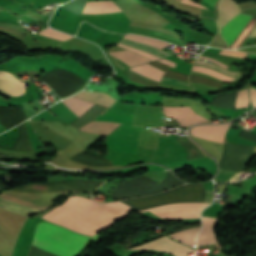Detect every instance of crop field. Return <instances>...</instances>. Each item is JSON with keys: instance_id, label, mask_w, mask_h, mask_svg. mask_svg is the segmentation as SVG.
<instances>
[{"instance_id": "crop-field-9", "label": "crop field", "mask_w": 256, "mask_h": 256, "mask_svg": "<svg viewBox=\"0 0 256 256\" xmlns=\"http://www.w3.org/2000/svg\"><path fill=\"white\" fill-rule=\"evenodd\" d=\"M51 111H53L57 116L55 117L54 114H52L47 109L42 111L41 113L35 115L34 117L30 118L33 120H48V121H65L70 122L77 118L61 101L53 105L52 107L48 108Z\"/></svg>"}, {"instance_id": "crop-field-16", "label": "crop field", "mask_w": 256, "mask_h": 256, "mask_svg": "<svg viewBox=\"0 0 256 256\" xmlns=\"http://www.w3.org/2000/svg\"><path fill=\"white\" fill-rule=\"evenodd\" d=\"M26 119L23 109L0 107V122L8 129Z\"/></svg>"}, {"instance_id": "crop-field-29", "label": "crop field", "mask_w": 256, "mask_h": 256, "mask_svg": "<svg viewBox=\"0 0 256 256\" xmlns=\"http://www.w3.org/2000/svg\"><path fill=\"white\" fill-rule=\"evenodd\" d=\"M194 63H196V64H201V65H205V66H209V67H212V68H214V69H218V70H220V71H222V72H224V73H226V74H228V75H230V76H232V77H236V78H239V79H240V77H241V73H242V72L228 71V70H226V69H224V68H222V67H220V66H218V65L209 63V62H207V61H203V60L197 59V60H195Z\"/></svg>"}, {"instance_id": "crop-field-21", "label": "crop field", "mask_w": 256, "mask_h": 256, "mask_svg": "<svg viewBox=\"0 0 256 256\" xmlns=\"http://www.w3.org/2000/svg\"><path fill=\"white\" fill-rule=\"evenodd\" d=\"M75 96L93 101L95 103L101 104L103 106H106L108 108H110V106L116 102L115 99H113L112 97L103 94V93H97V92H81L76 94Z\"/></svg>"}, {"instance_id": "crop-field-24", "label": "crop field", "mask_w": 256, "mask_h": 256, "mask_svg": "<svg viewBox=\"0 0 256 256\" xmlns=\"http://www.w3.org/2000/svg\"><path fill=\"white\" fill-rule=\"evenodd\" d=\"M109 54L115 56L116 58L124 61L125 63H127L131 66H135V65H138V64L149 62L148 59H146L142 56H139L135 53H132L128 50L121 51V52H111Z\"/></svg>"}, {"instance_id": "crop-field-48", "label": "crop field", "mask_w": 256, "mask_h": 256, "mask_svg": "<svg viewBox=\"0 0 256 256\" xmlns=\"http://www.w3.org/2000/svg\"><path fill=\"white\" fill-rule=\"evenodd\" d=\"M153 237V236H152Z\"/></svg>"}, {"instance_id": "crop-field-35", "label": "crop field", "mask_w": 256, "mask_h": 256, "mask_svg": "<svg viewBox=\"0 0 256 256\" xmlns=\"http://www.w3.org/2000/svg\"><path fill=\"white\" fill-rule=\"evenodd\" d=\"M116 45L121 46V47H123V48H125V49H129V50H131V51H133V52H135V53H137V54H140V55H142V56H144V57H146V58L151 59L152 61L161 59V58H159V57H157V56H155V55H151V54L145 53V52H143V51H140V50L131 48V47H129V46H126V45H123V44H120V43H118V44H116Z\"/></svg>"}, {"instance_id": "crop-field-37", "label": "crop field", "mask_w": 256, "mask_h": 256, "mask_svg": "<svg viewBox=\"0 0 256 256\" xmlns=\"http://www.w3.org/2000/svg\"><path fill=\"white\" fill-rule=\"evenodd\" d=\"M221 52H223V53H229V54L242 55V56H245V55H246V53H245V52H240V51H227V50H221ZM223 53H221V54H223ZM229 54H227V55H229ZM236 55H233V56H236ZM242 56H238V57H242ZM242 58H244V57H242Z\"/></svg>"}, {"instance_id": "crop-field-3", "label": "crop field", "mask_w": 256, "mask_h": 256, "mask_svg": "<svg viewBox=\"0 0 256 256\" xmlns=\"http://www.w3.org/2000/svg\"><path fill=\"white\" fill-rule=\"evenodd\" d=\"M204 198L205 190L203 184H187L164 193L122 202L135 210H140L172 202H204Z\"/></svg>"}, {"instance_id": "crop-field-6", "label": "crop field", "mask_w": 256, "mask_h": 256, "mask_svg": "<svg viewBox=\"0 0 256 256\" xmlns=\"http://www.w3.org/2000/svg\"><path fill=\"white\" fill-rule=\"evenodd\" d=\"M141 130L140 127L122 125L109 135L106 143L115 151L137 153L138 137Z\"/></svg>"}, {"instance_id": "crop-field-39", "label": "crop field", "mask_w": 256, "mask_h": 256, "mask_svg": "<svg viewBox=\"0 0 256 256\" xmlns=\"http://www.w3.org/2000/svg\"><path fill=\"white\" fill-rule=\"evenodd\" d=\"M103 239L100 235L96 234L93 236L92 242L99 244Z\"/></svg>"}, {"instance_id": "crop-field-36", "label": "crop field", "mask_w": 256, "mask_h": 256, "mask_svg": "<svg viewBox=\"0 0 256 256\" xmlns=\"http://www.w3.org/2000/svg\"><path fill=\"white\" fill-rule=\"evenodd\" d=\"M161 82L190 87L187 83L176 81V80H172V79H168V78H164V77L162 78Z\"/></svg>"}, {"instance_id": "crop-field-23", "label": "crop field", "mask_w": 256, "mask_h": 256, "mask_svg": "<svg viewBox=\"0 0 256 256\" xmlns=\"http://www.w3.org/2000/svg\"><path fill=\"white\" fill-rule=\"evenodd\" d=\"M119 125H120L119 123L94 121L82 127L81 130L108 135L111 131H113Z\"/></svg>"}, {"instance_id": "crop-field-15", "label": "crop field", "mask_w": 256, "mask_h": 256, "mask_svg": "<svg viewBox=\"0 0 256 256\" xmlns=\"http://www.w3.org/2000/svg\"><path fill=\"white\" fill-rule=\"evenodd\" d=\"M83 20L102 21L113 24L127 25L129 16L126 12L107 13V14H86L82 13Z\"/></svg>"}, {"instance_id": "crop-field-5", "label": "crop field", "mask_w": 256, "mask_h": 256, "mask_svg": "<svg viewBox=\"0 0 256 256\" xmlns=\"http://www.w3.org/2000/svg\"><path fill=\"white\" fill-rule=\"evenodd\" d=\"M99 181H64L49 184L29 183L9 191L23 193H46V192H79L93 194V192L102 185Z\"/></svg>"}, {"instance_id": "crop-field-25", "label": "crop field", "mask_w": 256, "mask_h": 256, "mask_svg": "<svg viewBox=\"0 0 256 256\" xmlns=\"http://www.w3.org/2000/svg\"><path fill=\"white\" fill-rule=\"evenodd\" d=\"M130 70L138 72V73H140L146 77H149L155 81H158V82L160 81L161 77L164 74V71H162L158 68H155L147 63L130 68Z\"/></svg>"}, {"instance_id": "crop-field-38", "label": "crop field", "mask_w": 256, "mask_h": 256, "mask_svg": "<svg viewBox=\"0 0 256 256\" xmlns=\"http://www.w3.org/2000/svg\"><path fill=\"white\" fill-rule=\"evenodd\" d=\"M250 97H251L253 106L256 107V89H250Z\"/></svg>"}, {"instance_id": "crop-field-40", "label": "crop field", "mask_w": 256, "mask_h": 256, "mask_svg": "<svg viewBox=\"0 0 256 256\" xmlns=\"http://www.w3.org/2000/svg\"><path fill=\"white\" fill-rule=\"evenodd\" d=\"M181 1H182V2H185V3H187V4H190V5H194V6H197V7L205 8V7L199 5L198 3H196V2H194V1H192V0H181ZM205 9H207V8H205Z\"/></svg>"}, {"instance_id": "crop-field-33", "label": "crop field", "mask_w": 256, "mask_h": 256, "mask_svg": "<svg viewBox=\"0 0 256 256\" xmlns=\"http://www.w3.org/2000/svg\"><path fill=\"white\" fill-rule=\"evenodd\" d=\"M39 34H42V35H45V36H48V37H52V38H55V39H58V40H61V41L71 38V36H69L67 34L52 30L50 28L43 31V32H40Z\"/></svg>"}, {"instance_id": "crop-field-30", "label": "crop field", "mask_w": 256, "mask_h": 256, "mask_svg": "<svg viewBox=\"0 0 256 256\" xmlns=\"http://www.w3.org/2000/svg\"><path fill=\"white\" fill-rule=\"evenodd\" d=\"M193 70L210 74V75L215 76V77H217V78H219V79H221V80H223L225 82H229V81L233 80V78H229L230 76L229 77L224 76L225 74L222 75L223 73L220 74V73H218V72H216L214 70H211V69H208V68H205V67H202V66L194 65Z\"/></svg>"}, {"instance_id": "crop-field-7", "label": "crop field", "mask_w": 256, "mask_h": 256, "mask_svg": "<svg viewBox=\"0 0 256 256\" xmlns=\"http://www.w3.org/2000/svg\"><path fill=\"white\" fill-rule=\"evenodd\" d=\"M210 203H172L155 206L143 211L152 210L162 218L191 219L200 218V211Z\"/></svg>"}, {"instance_id": "crop-field-11", "label": "crop field", "mask_w": 256, "mask_h": 256, "mask_svg": "<svg viewBox=\"0 0 256 256\" xmlns=\"http://www.w3.org/2000/svg\"><path fill=\"white\" fill-rule=\"evenodd\" d=\"M230 123L223 125H202L191 129V134L201 138L223 143V138ZM231 125V124H230Z\"/></svg>"}, {"instance_id": "crop-field-45", "label": "crop field", "mask_w": 256, "mask_h": 256, "mask_svg": "<svg viewBox=\"0 0 256 256\" xmlns=\"http://www.w3.org/2000/svg\"><path fill=\"white\" fill-rule=\"evenodd\" d=\"M141 239H143L144 241H146L143 237H141ZM138 242L134 239L132 240L135 244L141 243L140 238H137Z\"/></svg>"}, {"instance_id": "crop-field-44", "label": "crop field", "mask_w": 256, "mask_h": 256, "mask_svg": "<svg viewBox=\"0 0 256 256\" xmlns=\"http://www.w3.org/2000/svg\"><path fill=\"white\" fill-rule=\"evenodd\" d=\"M254 36H256V27L254 28V30L249 35V37H254Z\"/></svg>"}, {"instance_id": "crop-field-8", "label": "crop field", "mask_w": 256, "mask_h": 256, "mask_svg": "<svg viewBox=\"0 0 256 256\" xmlns=\"http://www.w3.org/2000/svg\"><path fill=\"white\" fill-rule=\"evenodd\" d=\"M133 249H155V250L171 252L177 256H187L186 253L194 252V250L178 242H175L166 236Z\"/></svg>"}, {"instance_id": "crop-field-13", "label": "crop field", "mask_w": 256, "mask_h": 256, "mask_svg": "<svg viewBox=\"0 0 256 256\" xmlns=\"http://www.w3.org/2000/svg\"><path fill=\"white\" fill-rule=\"evenodd\" d=\"M0 91L10 96H19L25 93V83L7 71H0Z\"/></svg>"}, {"instance_id": "crop-field-17", "label": "crop field", "mask_w": 256, "mask_h": 256, "mask_svg": "<svg viewBox=\"0 0 256 256\" xmlns=\"http://www.w3.org/2000/svg\"><path fill=\"white\" fill-rule=\"evenodd\" d=\"M202 218H203V229L198 236V240H197L198 246L218 242L213 230V226L216 218L206 217V216H202Z\"/></svg>"}, {"instance_id": "crop-field-28", "label": "crop field", "mask_w": 256, "mask_h": 256, "mask_svg": "<svg viewBox=\"0 0 256 256\" xmlns=\"http://www.w3.org/2000/svg\"><path fill=\"white\" fill-rule=\"evenodd\" d=\"M151 64H153V65H155V66L165 70L166 71L165 74H164L165 77H169V78H172V79H176V80L187 82L188 75L170 71V70H168L170 68V66L165 65L163 63H160L158 61L152 62Z\"/></svg>"}, {"instance_id": "crop-field-34", "label": "crop field", "mask_w": 256, "mask_h": 256, "mask_svg": "<svg viewBox=\"0 0 256 256\" xmlns=\"http://www.w3.org/2000/svg\"><path fill=\"white\" fill-rule=\"evenodd\" d=\"M223 206L213 203L209 208L205 209L202 215L217 217Z\"/></svg>"}, {"instance_id": "crop-field-19", "label": "crop field", "mask_w": 256, "mask_h": 256, "mask_svg": "<svg viewBox=\"0 0 256 256\" xmlns=\"http://www.w3.org/2000/svg\"><path fill=\"white\" fill-rule=\"evenodd\" d=\"M0 207L12 210L17 213L25 214V215L32 214L42 210V209L32 207L14 200L1 197V196H0Z\"/></svg>"}, {"instance_id": "crop-field-27", "label": "crop field", "mask_w": 256, "mask_h": 256, "mask_svg": "<svg viewBox=\"0 0 256 256\" xmlns=\"http://www.w3.org/2000/svg\"><path fill=\"white\" fill-rule=\"evenodd\" d=\"M122 40L126 41V42H129V43H132V44H136V45H139V46H143L145 48H142V47H138V46H135V45H132V44H129V43H126V42H123V41H119L120 43H123V44H127L131 47H134V48H137V49H140V50H143V51H146L148 53H151V54H155L161 58L171 54V53H168V52H165L163 50H160L158 48H155L153 46H150V45H146V44H142V43H139V42H135V41H132V40H128V39H124L122 38Z\"/></svg>"}, {"instance_id": "crop-field-22", "label": "crop field", "mask_w": 256, "mask_h": 256, "mask_svg": "<svg viewBox=\"0 0 256 256\" xmlns=\"http://www.w3.org/2000/svg\"><path fill=\"white\" fill-rule=\"evenodd\" d=\"M106 110L107 108L95 104L93 107H91L85 114H83L79 119H77L71 125L80 128L83 125L93 121L98 116V114H102Z\"/></svg>"}, {"instance_id": "crop-field-20", "label": "crop field", "mask_w": 256, "mask_h": 256, "mask_svg": "<svg viewBox=\"0 0 256 256\" xmlns=\"http://www.w3.org/2000/svg\"><path fill=\"white\" fill-rule=\"evenodd\" d=\"M133 115L134 113L131 112L110 109L103 116H98L95 120L131 124Z\"/></svg>"}, {"instance_id": "crop-field-4", "label": "crop field", "mask_w": 256, "mask_h": 256, "mask_svg": "<svg viewBox=\"0 0 256 256\" xmlns=\"http://www.w3.org/2000/svg\"><path fill=\"white\" fill-rule=\"evenodd\" d=\"M182 184L184 183L180 182L169 172L167 173L164 183L161 185H158L141 175L124 181L115 189L112 196L121 199H129L159 193Z\"/></svg>"}, {"instance_id": "crop-field-1", "label": "crop field", "mask_w": 256, "mask_h": 256, "mask_svg": "<svg viewBox=\"0 0 256 256\" xmlns=\"http://www.w3.org/2000/svg\"><path fill=\"white\" fill-rule=\"evenodd\" d=\"M98 204L91 199L70 197L41 218L74 232L94 235L134 210L120 202L102 203L104 207Z\"/></svg>"}, {"instance_id": "crop-field-10", "label": "crop field", "mask_w": 256, "mask_h": 256, "mask_svg": "<svg viewBox=\"0 0 256 256\" xmlns=\"http://www.w3.org/2000/svg\"><path fill=\"white\" fill-rule=\"evenodd\" d=\"M252 16L238 14L234 19L229 21L220 31L228 46L236 39Z\"/></svg>"}, {"instance_id": "crop-field-32", "label": "crop field", "mask_w": 256, "mask_h": 256, "mask_svg": "<svg viewBox=\"0 0 256 256\" xmlns=\"http://www.w3.org/2000/svg\"><path fill=\"white\" fill-rule=\"evenodd\" d=\"M190 82H200V83L207 84V85L221 87V82L215 81V80H212V79H209V78L201 77V76H198V75H191L190 76Z\"/></svg>"}, {"instance_id": "crop-field-42", "label": "crop field", "mask_w": 256, "mask_h": 256, "mask_svg": "<svg viewBox=\"0 0 256 256\" xmlns=\"http://www.w3.org/2000/svg\"><path fill=\"white\" fill-rule=\"evenodd\" d=\"M159 61H162V62H164V63H166V64H168V65H170L172 67H175V63H173L171 61H168V60H165V59H162V60H159Z\"/></svg>"}, {"instance_id": "crop-field-46", "label": "crop field", "mask_w": 256, "mask_h": 256, "mask_svg": "<svg viewBox=\"0 0 256 256\" xmlns=\"http://www.w3.org/2000/svg\"><path fill=\"white\" fill-rule=\"evenodd\" d=\"M204 1H207V2H209L212 6H214V4H215V2H216L217 0H204Z\"/></svg>"}, {"instance_id": "crop-field-26", "label": "crop field", "mask_w": 256, "mask_h": 256, "mask_svg": "<svg viewBox=\"0 0 256 256\" xmlns=\"http://www.w3.org/2000/svg\"><path fill=\"white\" fill-rule=\"evenodd\" d=\"M201 226L178 231L176 233L170 234L168 236L175 238L191 247L195 246V236Z\"/></svg>"}, {"instance_id": "crop-field-43", "label": "crop field", "mask_w": 256, "mask_h": 256, "mask_svg": "<svg viewBox=\"0 0 256 256\" xmlns=\"http://www.w3.org/2000/svg\"><path fill=\"white\" fill-rule=\"evenodd\" d=\"M226 184L217 185L219 193H223Z\"/></svg>"}, {"instance_id": "crop-field-47", "label": "crop field", "mask_w": 256, "mask_h": 256, "mask_svg": "<svg viewBox=\"0 0 256 256\" xmlns=\"http://www.w3.org/2000/svg\"><path fill=\"white\" fill-rule=\"evenodd\" d=\"M152 236V235H151Z\"/></svg>"}, {"instance_id": "crop-field-2", "label": "crop field", "mask_w": 256, "mask_h": 256, "mask_svg": "<svg viewBox=\"0 0 256 256\" xmlns=\"http://www.w3.org/2000/svg\"><path fill=\"white\" fill-rule=\"evenodd\" d=\"M90 240L46 222L37 224L32 244L60 256H75Z\"/></svg>"}, {"instance_id": "crop-field-12", "label": "crop field", "mask_w": 256, "mask_h": 256, "mask_svg": "<svg viewBox=\"0 0 256 256\" xmlns=\"http://www.w3.org/2000/svg\"><path fill=\"white\" fill-rule=\"evenodd\" d=\"M163 108L167 116L177 119L182 126L208 121L205 118L195 114L190 109V107H182V108L163 107Z\"/></svg>"}, {"instance_id": "crop-field-41", "label": "crop field", "mask_w": 256, "mask_h": 256, "mask_svg": "<svg viewBox=\"0 0 256 256\" xmlns=\"http://www.w3.org/2000/svg\"><path fill=\"white\" fill-rule=\"evenodd\" d=\"M200 58H202V59H207V60H211V61H213V62H215V63H217V64H219L220 66L225 67V68L228 67V66H226V65H224V64H222V63H220V62H218V61H216V60H214V59H212V58H209V57L200 56Z\"/></svg>"}, {"instance_id": "crop-field-18", "label": "crop field", "mask_w": 256, "mask_h": 256, "mask_svg": "<svg viewBox=\"0 0 256 256\" xmlns=\"http://www.w3.org/2000/svg\"><path fill=\"white\" fill-rule=\"evenodd\" d=\"M0 148H6L11 150H22V151H32L34 150L28 136V131L26 123L23 122L18 125V139L15 141L12 148L0 146Z\"/></svg>"}, {"instance_id": "crop-field-14", "label": "crop field", "mask_w": 256, "mask_h": 256, "mask_svg": "<svg viewBox=\"0 0 256 256\" xmlns=\"http://www.w3.org/2000/svg\"><path fill=\"white\" fill-rule=\"evenodd\" d=\"M217 10L219 12L217 24L220 29L234 15L240 12V7L234 0H219Z\"/></svg>"}, {"instance_id": "crop-field-31", "label": "crop field", "mask_w": 256, "mask_h": 256, "mask_svg": "<svg viewBox=\"0 0 256 256\" xmlns=\"http://www.w3.org/2000/svg\"><path fill=\"white\" fill-rule=\"evenodd\" d=\"M248 103H249L248 89L238 91L235 108L247 107Z\"/></svg>"}]
</instances>
